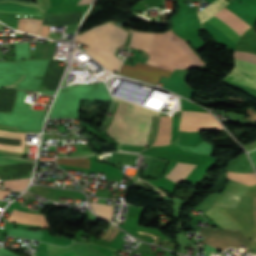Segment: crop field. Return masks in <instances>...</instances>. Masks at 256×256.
I'll return each mask as SVG.
<instances>
[{
  "label": "crop field",
  "instance_id": "dd49c442",
  "mask_svg": "<svg viewBox=\"0 0 256 256\" xmlns=\"http://www.w3.org/2000/svg\"><path fill=\"white\" fill-rule=\"evenodd\" d=\"M221 129L209 113L182 111L180 130L196 131Z\"/></svg>",
  "mask_w": 256,
  "mask_h": 256
},
{
  "label": "crop field",
  "instance_id": "28ad6ade",
  "mask_svg": "<svg viewBox=\"0 0 256 256\" xmlns=\"http://www.w3.org/2000/svg\"><path fill=\"white\" fill-rule=\"evenodd\" d=\"M172 117H161L158 135L153 145H167L171 137Z\"/></svg>",
  "mask_w": 256,
  "mask_h": 256
},
{
  "label": "crop field",
  "instance_id": "4a817a6b",
  "mask_svg": "<svg viewBox=\"0 0 256 256\" xmlns=\"http://www.w3.org/2000/svg\"><path fill=\"white\" fill-rule=\"evenodd\" d=\"M235 61H236V67H235L236 70L256 74V64L243 61L240 59H236V58H235Z\"/></svg>",
  "mask_w": 256,
  "mask_h": 256
},
{
  "label": "crop field",
  "instance_id": "8a807250",
  "mask_svg": "<svg viewBox=\"0 0 256 256\" xmlns=\"http://www.w3.org/2000/svg\"><path fill=\"white\" fill-rule=\"evenodd\" d=\"M147 64L173 71L174 68L204 65L199 57L188 47L186 41L172 31L155 34ZM151 63V64H149ZM137 63L136 67L122 64L119 73L158 84L162 76L169 78L171 71Z\"/></svg>",
  "mask_w": 256,
  "mask_h": 256
},
{
  "label": "crop field",
  "instance_id": "214f88e0",
  "mask_svg": "<svg viewBox=\"0 0 256 256\" xmlns=\"http://www.w3.org/2000/svg\"><path fill=\"white\" fill-rule=\"evenodd\" d=\"M158 120H159V117L152 116V124H151V129L148 137V146H150L156 138Z\"/></svg>",
  "mask_w": 256,
  "mask_h": 256
},
{
  "label": "crop field",
  "instance_id": "dafd665d",
  "mask_svg": "<svg viewBox=\"0 0 256 256\" xmlns=\"http://www.w3.org/2000/svg\"><path fill=\"white\" fill-rule=\"evenodd\" d=\"M37 251V250H36ZM35 256H49L41 251H37ZM54 256H78L77 254H75L74 252L71 253H66V254H60V255H54Z\"/></svg>",
  "mask_w": 256,
  "mask_h": 256
},
{
  "label": "crop field",
  "instance_id": "4177f3b9",
  "mask_svg": "<svg viewBox=\"0 0 256 256\" xmlns=\"http://www.w3.org/2000/svg\"><path fill=\"white\" fill-rule=\"evenodd\" d=\"M6 192H7V191H5V190H0V199H3V197H4L5 194H6ZM9 192H10V191H8L6 195H8Z\"/></svg>",
  "mask_w": 256,
  "mask_h": 256
},
{
  "label": "crop field",
  "instance_id": "a9b5d70f",
  "mask_svg": "<svg viewBox=\"0 0 256 256\" xmlns=\"http://www.w3.org/2000/svg\"><path fill=\"white\" fill-rule=\"evenodd\" d=\"M93 0H81L78 5L91 4Z\"/></svg>",
  "mask_w": 256,
  "mask_h": 256
},
{
  "label": "crop field",
  "instance_id": "34b2d1b8",
  "mask_svg": "<svg viewBox=\"0 0 256 256\" xmlns=\"http://www.w3.org/2000/svg\"><path fill=\"white\" fill-rule=\"evenodd\" d=\"M127 32L108 22L77 36L76 40L87 44L89 47L86 50L117 72L122 61L115 54L122 46Z\"/></svg>",
  "mask_w": 256,
  "mask_h": 256
},
{
  "label": "crop field",
  "instance_id": "22f410ed",
  "mask_svg": "<svg viewBox=\"0 0 256 256\" xmlns=\"http://www.w3.org/2000/svg\"><path fill=\"white\" fill-rule=\"evenodd\" d=\"M226 79H229L234 82H237V83H240V84H243L248 87L256 89V76L255 75L232 70V72L226 77Z\"/></svg>",
  "mask_w": 256,
  "mask_h": 256
},
{
  "label": "crop field",
  "instance_id": "d1516ede",
  "mask_svg": "<svg viewBox=\"0 0 256 256\" xmlns=\"http://www.w3.org/2000/svg\"><path fill=\"white\" fill-rule=\"evenodd\" d=\"M194 167H195V165L177 163L175 165V167L166 175V177H168V178H170V179L179 183V182H181L182 180L185 179V177L193 170Z\"/></svg>",
  "mask_w": 256,
  "mask_h": 256
},
{
  "label": "crop field",
  "instance_id": "00972430",
  "mask_svg": "<svg viewBox=\"0 0 256 256\" xmlns=\"http://www.w3.org/2000/svg\"><path fill=\"white\" fill-rule=\"evenodd\" d=\"M50 26L43 25L40 35L48 37Z\"/></svg>",
  "mask_w": 256,
  "mask_h": 256
},
{
  "label": "crop field",
  "instance_id": "3316defc",
  "mask_svg": "<svg viewBox=\"0 0 256 256\" xmlns=\"http://www.w3.org/2000/svg\"><path fill=\"white\" fill-rule=\"evenodd\" d=\"M153 35V33H140L133 31L129 47L149 51Z\"/></svg>",
  "mask_w": 256,
  "mask_h": 256
},
{
  "label": "crop field",
  "instance_id": "412701ff",
  "mask_svg": "<svg viewBox=\"0 0 256 256\" xmlns=\"http://www.w3.org/2000/svg\"><path fill=\"white\" fill-rule=\"evenodd\" d=\"M228 2L224 0H216L207 6L205 9L198 12V16L201 22H204L209 17L213 16L217 13L221 8H223ZM217 18L224 21L227 25H229L233 30H235L239 35L245 32L251 26L244 22L242 19L237 17L233 12L229 11L225 7L221 9L217 14H215ZM211 17L206 20L216 28H218L222 33H224L230 40H232L235 44L239 39V35L233 31L229 26H227L224 22L217 19L216 17Z\"/></svg>",
  "mask_w": 256,
  "mask_h": 256
},
{
  "label": "crop field",
  "instance_id": "ac0d7876",
  "mask_svg": "<svg viewBox=\"0 0 256 256\" xmlns=\"http://www.w3.org/2000/svg\"><path fill=\"white\" fill-rule=\"evenodd\" d=\"M120 101L114 120L106 132L118 143L147 145L151 115L159 112Z\"/></svg>",
  "mask_w": 256,
  "mask_h": 256
},
{
  "label": "crop field",
  "instance_id": "733c2abd",
  "mask_svg": "<svg viewBox=\"0 0 256 256\" xmlns=\"http://www.w3.org/2000/svg\"><path fill=\"white\" fill-rule=\"evenodd\" d=\"M91 203V202H90ZM93 210L101 217L111 220L113 206L91 203Z\"/></svg>",
  "mask_w": 256,
  "mask_h": 256
},
{
  "label": "crop field",
  "instance_id": "5a996713",
  "mask_svg": "<svg viewBox=\"0 0 256 256\" xmlns=\"http://www.w3.org/2000/svg\"><path fill=\"white\" fill-rule=\"evenodd\" d=\"M8 221L42 225V228H48L46 220L41 215L29 214L16 210L12 212Z\"/></svg>",
  "mask_w": 256,
  "mask_h": 256
},
{
  "label": "crop field",
  "instance_id": "cbeb9de0",
  "mask_svg": "<svg viewBox=\"0 0 256 256\" xmlns=\"http://www.w3.org/2000/svg\"><path fill=\"white\" fill-rule=\"evenodd\" d=\"M228 179H233L240 183L246 184L248 186L256 184V174L255 173H232L228 172Z\"/></svg>",
  "mask_w": 256,
  "mask_h": 256
},
{
  "label": "crop field",
  "instance_id": "bc2a9ffb",
  "mask_svg": "<svg viewBox=\"0 0 256 256\" xmlns=\"http://www.w3.org/2000/svg\"><path fill=\"white\" fill-rule=\"evenodd\" d=\"M28 181H29V178L19 179V180H6L3 182H4L5 188L23 190L26 187Z\"/></svg>",
  "mask_w": 256,
  "mask_h": 256
},
{
  "label": "crop field",
  "instance_id": "92a150f3",
  "mask_svg": "<svg viewBox=\"0 0 256 256\" xmlns=\"http://www.w3.org/2000/svg\"><path fill=\"white\" fill-rule=\"evenodd\" d=\"M119 230H117L116 228H114L113 226L109 229V231L104 235L103 239H106V240H112V238L116 235V233L118 232Z\"/></svg>",
  "mask_w": 256,
  "mask_h": 256
},
{
  "label": "crop field",
  "instance_id": "d8731c3e",
  "mask_svg": "<svg viewBox=\"0 0 256 256\" xmlns=\"http://www.w3.org/2000/svg\"><path fill=\"white\" fill-rule=\"evenodd\" d=\"M0 1H6V0H0ZM11 1L26 3V4H30V5H36L35 3L21 1V0H11ZM11 1L0 2V11L1 12L23 13V14H30V15H39V16H43V14H44V12L39 7L15 3V2H11ZM36 6H38V5H36Z\"/></svg>",
  "mask_w": 256,
  "mask_h": 256
},
{
  "label": "crop field",
  "instance_id": "d9b57169",
  "mask_svg": "<svg viewBox=\"0 0 256 256\" xmlns=\"http://www.w3.org/2000/svg\"><path fill=\"white\" fill-rule=\"evenodd\" d=\"M59 164L77 166L89 169L90 159H68V158H58L56 161Z\"/></svg>",
  "mask_w": 256,
  "mask_h": 256
},
{
  "label": "crop field",
  "instance_id": "5142ce71",
  "mask_svg": "<svg viewBox=\"0 0 256 256\" xmlns=\"http://www.w3.org/2000/svg\"><path fill=\"white\" fill-rule=\"evenodd\" d=\"M39 22L40 20L31 19V18L20 19L18 29L36 34L38 30Z\"/></svg>",
  "mask_w": 256,
  "mask_h": 256
},
{
  "label": "crop field",
  "instance_id": "f4fd0767",
  "mask_svg": "<svg viewBox=\"0 0 256 256\" xmlns=\"http://www.w3.org/2000/svg\"><path fill=\"white\" fill-rule=\"evenodd\" d=\"M247 187L248 186L229 180L223 193L218 195L214 204L217 206L236 208L241 196L245 195ZM205 213L221 227L226 229H237L225 216L221 215L214 206L205 211Z\"/></svg>",
  "mask_w": 256,
  "mask_h": 256
},
{
  "label": "crop field",
  "instance_id": "e52e79f7",
  "mask_svg": "<svg viewBox=\"0 0 256 256\" xmlns=\"http://www.w3.org/2000/svg\"><path fill=\"white\" fill-rule=\"evenodd\" d=\"M26 162H34V160L21 159V158H15L10 156L0 157V164L26 163ZM32 166H33V163L0 165V177H8V176H14V175H31Z\"/></svg>",
  "mask_w": 256,
  "mask_h": 256
}]
</instances>
